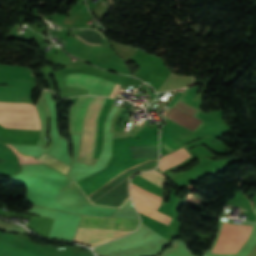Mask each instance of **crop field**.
I'll return each mask as SVG.
<instances>
[{"instance_id":"crop-field-5","label":"crop field","mask_w":256,"mask_h":256,"mask_svg":"<svg viewBox=\"0 0 256 256\" xmlns=\"http://www.w3.org/2000/svg\"><path fill=\"white\" fill-rule=\"evenodd\" d=\"M131 197L133 199L155 209V210L158 208V206H160V203H161L160 197H158V196H156V195H154V194H152L134 184H131ZM135 200H133V202H134L136 208L138 209V211H140L152 218H155L167 225L169 224L171 217L163 215V214H161V213H159V212H157V211H155V210H153Z\"/></svg>"},{"instance_id":"crop-field-12","label":"crop field","mask_w":256,"mask_h":256,"mask_svg":"<svg viewBox=\"0 0 256 256\" xmlns=\"http://www.w3.org/2000/svg\"><path fill=\"white\" fill-rule=\"evenodd\" d=\"M148 161H150V160H148ZM148 161H146V162H148ZM146 162L139 163V164H137V165H135V166H133V167H131V168H128V169L122 171V172L119 173L117 176H115L113 179H111L109 182H107L105 185H107V184L111 183L112 181H114V180L120 178L121 176H123V175L129 173L130 171H132V170L138 168L139 166L145 164ZM105 185H103L102 187H104ZM102 187H101V188H102ZM99 189H100V188H99Z\"/></svg>"},{"instance_id":"crop-field-4","label":"crop field","mask_w":256,"mask_h":256,"mask_svg":"<svg viewBox=\"0 0 256 256\" xmlns=\"http://www.w3.org/2000/svg\"><path fill=\"white\" fill-rule=\"evenodd\" d=\"M251 227L224 224L210 254L238 250L249 235Z\"/></svg>"},{"instance_id":"crop-field-7","label":"crop field","mask_w":256,"mask_h":256,"mask_svg":"<svg viewBox=\"0 0 256 256\" xmlns=\"http://www.w3.org/2000/svg\"><path fill=\"white\" fill-rule=\"evenodd\" d=\"M75 37L88 45L101 46L105 37L97 29H78Z\"/></svg>"},{"instance_id":"crop-field-3","label":"crop field","mask_w":256,"mask_h":256,"mask_svg":"<svg viewBox=\"0 0 256 256\" xmlns=\"http://www.w3.org/2000/svg\"><path fill=\"white\" fill-rule=\"evenodd\" d=\"M66 85L89 90L88 94L106 96L112 82L92 75L69 73L67 74ZM119 88L122 89L123 86L114 83L108 96L113 97Z\"/></svg>"},{"instance_id":"crop-field-2","label":"crop field","mask_w":256,"mask_h":256,"mask_svg":"<svg viewBox=\"0 0 256 256\" xmlns=\"http://www.w3.org/2000/svg\"><path fill=\"white\" fill-rule=\"evenodd\" d=\"M0 124L5 128L41 129L32 104L0 102Z\"/></svg>"},{"instance_id":"crop-field-11","label":"crop field","mask_w":256,"mask_h":256,"mask_svg":"<svg viewBox=\"0 0 256 256\" xmlns=\"http://www.w3.org/2000/svg\"><path fill=\"white\" fill-rule=\"evenodd\" d=\"M153 171L155 173L159 174L160 176H162L163 178H165L164 175L161 173V171L158 168L153 170ZM154 172L150 171V172L142 173V174H139V175H141L144 178L148 179L149 181H151V182L161 186L162 181L165 180V179H163L162 177L158 176Z\"/></svg>"},{"instance_id":"crop-field-10","label":"crop field","mask_w":256,"mask_h":256,"mask_svg":"<svg viewBox=\"0 0 256 256\" xmlns=\"http://www.w3.org/2000/svg\"><path fill=\"white\" fill-rule=\"evenodd\" d=\"M199 85L188 88V90L185 92V94L182 96V98L180 100H182V101L188 103L189 105L198 109V107L200 106L201 103L194 101L192 99H193L194 95L196 94V92L199 88Z\"/></svg>"},{"instance_id":"crop-field-6","label":"crop field","mask_w":256,"mask_h":256,"mask_svg":"<svg viewBox=\"0 0 256 256\" xmlns=\"http://www.w3.org/2000/svg\"><path fill=\"white\" fill-rule=\"evenodd\" d=\"M81 222L129 224V225H138L139 224V220H133V219L110 218V217L101 218V217H88V216H84ZM90 223H80V225L100 226V227H114V228H128V229H135L137 227V226H129V225H109V224H90Z\"/></svg>"},{"instance_id":"crop-field-1","label":"crop field","mask_w":256,"mask_h":256,"mask_svg":"<svg viewBox=\"0 0 256 256\" xmlns=\"http://www.w3.org/2000/svg\"><path fill=\"white\" fill-rule=\"evenodd\" d=\"M92 96L80 97L71 110L70 133H81L88 106ZM114 99H104L100 113L97 118L94 152L92 159H96L102 148L104 119Z\"/></svg>"},{"instance_id":"crop-field-9","label":"crop field","mask_w":256,"mask_h":256,"mask_svg":"<svg viewBox=\"0 0 256 256\" xmlns=\"http://www.w3.org/2000/svg\"><path fill=\"white\" fill-rule=\"evenodd\" d=\"M38 160L66 173L67 169H68V166H66L65 164L61 163L60 161L46 155V154H43L41 157L38 158Z\"/></svg>"},{"instance_id":"crop-field-8","label":"crop field","mask_w":256,"mask_h":256,"mask_svg":"<svg viewBox=\"0 0 256 256\" xmlns=\"http://www.w3.org/2000/svg\"><path fill=\"white\" fill-rule=\"evenodd\" d=\"M190 157L187 155V153L184 151L183 148L169 154L166 155L162 158V160L160 161V168L162 171L177 165L187 159H189Z\"/></svg>"}]
</instances>
